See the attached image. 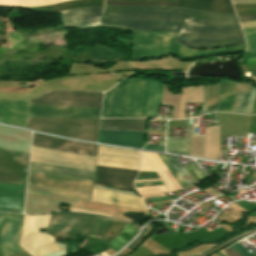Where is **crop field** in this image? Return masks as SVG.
<instances>
[{
  "label": "crop field",
  "mask_w": 256,
  "mask_h": 256,
  "mask_svg": "<svg viewBox=\"0 0 256 256\" xmlns=\"http://www.w3.org/2000/svg\"><path fill=\"white\" fill-rule=\"evenodd\" d=\"M103 93L51 91L30 100V105L101 107ZM30 106L29 116L43 118L100 119L101 108ZM29 100H0V122L26 126ZM29 117L26 128L96 142L99 120ZM147 119H100L99 129L146 131Z\"/></svg>",
  "instance_id": "obj_1"
},
{
  "label": "crop field",
  "mask_w": 256,
  "mask_h": 256,
  "mask_svg": "<svg viewBox=\"0 0 256 256\" xmlns=\"http://www.w3.org/2000/svg\"><path fill=\"white\" fill-rule=\"evenodd\" d=\"M101 25L126 30L179 31L177 42L199 49L246 43L235 15L191 9L105 6Z\"/></svg>",
  "instance_id": "obj_2"
},
{
  "label": "crop field",
  "mask_w": 256,
  "mask_h": 256,
  "mask_svg": "<svg viewBox=\"0 0 256 256\" xmlns=\"http://www.w3.org/2000/svg\"><path fill=\"white\" fill-rule=\"evenodd\" d=\"M32 146L96 156L97 145L34 133ZM32 147V152L95 162L96 157ZM32 153L31 161L94 171L95 163ZM31 162L32 173L93 181L94 172ZM29 173L28 183L91 193L93 182Z\"/></svg>",
  "instance_id": "obj_3"
},
{
  "label": "crop field",
  "mask_w": 256,
  "mask_h": 256,
  "mask_svg": "<svg viewBox=\"0 0 256 256\" xmlns=\"http://www.w3.org/2000/svg\"><path fill=\"white\" fill-rule=\"evenodd\" d=\"M31 132L0 126V147L29 153ZM0 148V183L25 184L29 154ZM25 185L0 184V211L21 212Z\"/></svg>",
  "instance_id": "obj_4"
},
{
  "label": "crop field",
  "mask_w": 256,
  "mask_h": 256,
  "mask_svg": "<svg viewBox=\"0 0 256 256\" xmlns=\"http://www.w3.org/2000/svg\"><path fill=\"white\" fill-rule=\"evenodd\" d=\"M140 153L135 150L99 146L97 165L138 170ZM97 166L94 185L134 189L138 171ZM92 201L145 209L143 199L94 189Z\"/></svg>",
  "instance_id": "obj_5"
},
{
  "label": "crop field",
  "mask_w": 256,
  "mask_h": 256,
  "mask_svg": "<svg viewBox=\"0 0 256 256\" xmlns=\"http://www.w3.org/2000/svg\"><path fill=\"white\" fill-rule=\"evenodd\" d=\"M178 32L134 31L133 59L161 57L173 53L183 59H199L225 53L245 52L246 45L231 46L214 51L191 50L175 43Z\"/></svg>",
  "instance_id": "obj_6"
},
{
  "label": "crop field",
  "mask_w": 256,
  "mask_h": 256,
  "mask_svg": "<svg viewBox=\"0 0 256 256\" xmlns=\"http://www.w3.org/2000/svg\"><path fill=\"white\" fill-rule=\"evenodd\" d=\"M236 82L221 80L219 84L204 86L203 114L217 111L232 113ZM256 87L247 83H237L233 113L251 114Z\"/></svg>",
  "instance_id": "obj_7"
},
{
  "label": "crop field",
  "mask_w": 256,
  "mask_h": 256,
  "mask_svg": "<svg viewBox=\"0 0 256 256\" xmlns=\"http://www.w3.org/2000/svg\"><path fill=\"white\" fill-rule=\"evenodd\" d=\"M127 80L105 94L103 118L122 117ZM148 79H128L123 117H143Z\"/></svg>",
  "instance_id": "obj_8"
},
{
  "label": "crop field",
  "mask_w": 256,
  "mask_h": 256,
  "mask_svg": "<svg viewBox=\"0 0 256 256\" xmlns=\"http://www.w3.org/2000/svg\"><path fill=\"white\" fill-rule=\"evenodd\" d=\"M94 219V216L83 214H55L52 216L50 227L45 233L55 238H75L76 234L87 236Z\"/></svg>",
  "instance_id": "obj_9"
},
{
  "label": "crop field",
  "mask_w": 256,
  "mask_h": 256,
  "mask_svg": "<svg viewBox=\"0 0 256 256\" xmlns=\"http://www.w3.org/2000/svg\"><path fill=\"white\" fill-rule=\"evenodd\" d=\"M51 216L52 215H24L20 246L25 251L55 242L54 238L43 232H39V229L48 227Z\"/></svg>",
  "instance_id": "obj_10"
},
{
  "label": "crop field",
  "mask_w": 256,
  "mask_h": 256,
  "mask_svg": "<svg viewBox=\"0 0 256 256\" xmlns=\"http://www.w3.org/2000/svg\"><path fill=\"white\" fill-rule=\"evenodd\" d=\"M180 98L181 94H171L165 84L149 79L144 117L157 118L158 103H165L173 105V119H178Z\"/></svg>",
  "instance_id": "obj_11"
},
{
  "label": "crop field",
  "mask_w": 256,
  "mask_h": 256,
  "mask_svg": "<svg viewBox=\"0 0 256 256\" xmlns=\"http://www.w3.org/2000/svg\"><path fill=\"white\" fill-rule=\"evenodd\" d=\"M22 216L20 214L0 213V228H3L0 240L2 256L23 252L18 246Z\"/></svg>",
  "instance_id": "obj_12"
},
{
  "label": "crop field",
  "mask_w": 256,
  "mask_h": 256,
  "mask_svg": "<svg viewBox=\"0 0 256 256\" xmlns=\"http://www.w3.org/2000/svg\"><path fill=\"white\" fill-rule=\"evenodd\" d=\"M146 132L100 130L99 142L142 148Z\"/></svg>",
  "instance_id": "obj_13"
},
{
  "label": "crop field",
  "mask_w": 256,
  "mask_h": 256,
  "mask_svg": "<svg viewBox=\"0 0 256 256\" xmlns=\"http://www.w3.org/2000/svg\"><path fill=\"white\" fill-rule=\"evenodd\" d=\"M103 7H84L60 12L64 26L84 27L100 19Z\"/></svg>",
  "instance_id": "obj_14"
},
{
  "label": "crop field",
  "mask_w": 256,
  "mask_h": 256,
  "mask_svg": "<svg viewBox=\"0 0 256 256\" xmlns=\"http://www.w3.org/2000/svg\"><path fill=\"white\" fill-rule=\"evenodd\" d=\"M136 1H149V0H136ZM169 1L177 2V0H169ZM177 7L191 8V9H197V10L213 12V13L235 14L232 6L227 4H214V3H207V2L193 1V0H178Z\"/></svg>",
  "instance_id": "obj_15"
},
{
  "label": "crop field",
  "mask_w": 256,
  "mask_h": 256,
  "mask_svg": "<svg viewBox=\"0 0 256 256\" xmlns=\"http://www.w3.org/2000/svg\"><path fill=\"white\" fill-rule=\"evenodd\" d=\"M219 127L206 128L205 157L219 158Z\"/></svg>",
  "instance_id": "obj_16"
},
{
  "label": "crop field",
  "mask_w": 256,
  "mask_h": 256,
  "mask_svg": "<svg viewBox=\"0 0 256 256\" xmlns=\"http://www.w3.org/2000/svg\"><path fill=\"white\" fill-rule=\"evenodd\" d=\"M80 6H103V0H80V1L61 3V4H57V5L31 7L28 9L36 10V11L50 12V11H56V10L61 11L64 9L75 8V7H80Z\"/></svg>",
  "instance_id": "obj_17"
},
{
  "label": "crop field",
  "mask_w": 256,
  "mask_h": 256,
  "mask_svg": "<svg viewBox=\"0 0 256 256\" xmlns=\"http://www.w3.org/2000/svg\"><path fill=\"white\" fill-rule=\"evenodd\" d=\"M188 137L185 139H167V152L189 155L190 149V119L185 120Z\"/></svg>",
  "instance_id": "obj_18"
},
{
  "label": "crop field",
  "mask_w": 256,
  "mask_h": 256,
  "mask_svg": "<svg viewBox=\"0 0 256 256\" xmlns=\"http://www.w3.org/2000/svg\"><path fill=\"white\" fill-rule=\"evenodd\" d=\"M135 227L127 223L124 229L107 245L114 251H119L138 232Z\"/></svg>",
  "instance_id": "obj_19"
},
{
  "label": "crop field",
  "mask_w": 256,
  "mask_h": 256,
  "mask_svg": "<svg viewBox=\"0 0 256 256\" xmlns=\"http://www.w3.org/2000/svg\"><path fill=\"white\" fill-rule=\"evenodd\" d=\"M184 102H203V87L183 88L179 119L184 118Z\"/></svg>",
  "instance_id": "obj_20"
},
{
  "label": "crop field",
  "mask_w": 256,
  "mask_h": 256,
  "mask_svg": "<svg viewBox=\"0 0 256 256\" xmlns=\"http://www.w3.org/2000/svg\"><path fill=\"white\" fill-rule=\"evenodd\" d=\"M105 5H116V6H171V7H176L177 3L168 2V1H149V2L105 1Z\"/></svg>",
  "instance_id": "obj_21"
},
{
  "label": "crop field",
  "mask_w": 256,
  "mask_h": 256,
  "mask_svg": "<svg viewBox=\"0 0 256 256\" xmlns=\"http://www.w3.org/2000/svg\"><path fill=\"white\" fill-rule=\"evenodd\" d=\"M111 221V219L97 217L88 236L100 238Z\"/></svg>",
  "instance_id": "obj_22"
},
{
  "label": "crop field",
  "mask_w": 256,
  "mask_h": 256,
  "mask_svg": "<svg viewBox=\"0 0 256 256\" xmlns=\"http://www.w3.org/2000/svg\"><path fill=\"white\" fill-rule=\"evenodd\" d=\"M243 30L248 42L247 53H256V27L245 28Z\"/></svg>",
  "instance_id": "obj_23"
},
{
  "label": "crop field",
  "mask_w": 256,
  "mask_h": 256,
  "mask_svg": "<svg viewBox=\"0 0 256 256\" xmlns=\"http://www.w3.org/2000/svg\"><path fill=\"white\" fill-rule=\"evenodd\" d=\"M167 157L170 159V161L173 163V165L176 167L178 172L180 173L181 177L184 179V181L187 183L188 186H191L194 183L190 175L187 173L183 165L179 162L177 157L174 156H168Z\"/></svg>",
  "instance_id": "obj_24"
},
{
  "label": "crop field",
  "mask_w": 256,
  "mask_h": 256,
  "mask_svg": "<svg viewBox=\"0 0 256 256\" xmlns=\"http://www.w3.org/2000/svg\"><path fill=\"white\" fill-rule=\"evenodd\" d=\"M57 250H60V249L57 246H55L53 243H51L27 252L32 256H40V255H44Z\"/></svg>",
  "instance_id": "obj_25"
},
{
  "label": "crop field",
  "mask_w": 256,
  "mask_h": 256,
  "mask_svg": "<svg viewBox=\"0 0 256 256\" xmlns=\"http://www.w3.org/2000/svg\"><path fill=\"white\" fill-rule=\"evenodd\" d=\"M161 158V160L165 163V165L170 169V171L172 172V174L174 175V177L178 180V182L180 183V185L182 186V188L188 187L186 185V183L183 181V179L180 177V175L178 174L177 170L175 169V167L172 165V163L169 161V159L166 157V155H161L158 154Z\"/></svg>",
  "instance_id": "obj_26"
},
{
  "label": "crop field",
  "mask_w": 256,
  "mask_h": 256,
  "mask_svg": "<svg viewBox=\"0 0 256 256\" xmlns=\"http://www.w3.org/2000/svg\"><path fill=\"white\" fill-rule=\"evenodd\" d=\"M238 14L256 13V4L234 5Z\"/></svg>",
  "instance_id": "obj_27"
},
{
  "label": "crop field",
  "mask_w": 256,
  "mask_h": 256,
  "mask_svg": "<svg viewBox=\"0 0 256 256\" xmlns=\"http://www.w3.org/2000/svg\"><path fill=\"white\" fill-rule=\"evenodd\" d=\"M240 65H256V54L245 55Z\"/></svg>",
  "instance_id": "obj_28"
},
{
  "label": "crop field",
  "mask_w": 256,
  "mask_h": 256,
  "mask_svg": "<svg viewBox=\"0 0 256 256\" xmlns=\"http://www.w3.org/2000/svg\"><path fill=\"white\" fill-rule=\"evenodd\" d=\"M192 171L196 174L199 180L206 178V175L201 171L196 163L190 164Z\"/></svg>",
  "instance_id": "obj_29"
},
{
  "label": "crop field",
  "mask_w": 256,
  "mask_h": 256,
  "mask_svg": "<svg viewBox=\"0 0 256 256\" xmlns=\"http://www.w3.org/2000/svg\"><path fill=\"white\" fill-rule=\"evenodd\" d=\"M231 247L239 252L242 256H252L248 251H246L242 246L238 245L237 243Z\"/></svg>",
  "instance_id": "obj_30"
},
{
  "label": "crop field",
  "mask_w": 256,
  "mask_h": 256,
  "mask_svg": "<svg viewBox=\"0 0 256 256\" xmlns=\"http://www.w3.org/2000/svg\"><path fill=\"white\" fill-rule=\"evenodd\" d=\"M233 4H250L256 3V0H232Z\"/></svg>",
  "instance_id": "obj_31"
},
{
  "label": "crop field",
  "mask_w": 256,
  "mask_h": 256,
  "mask_svg": "<svg viewBox=\"0 0 256 256\" xmlns=\"http://www.w3.org/2000/svg\"><path fill=\"white\" fill-rule=\"evenodd\" d=\"M240 21L256 20V15L238 16Z\"/></svg>",
  "instance_id": "obj_32"
},
{
  "label": "crop field",
  "mask_w": 256,
  "mask_h": 256,
  "mask_svg": "<svg viewBox=\"0 0 256 256\" xmlns=\"http://www.w3.org/2000/svg\"><path fill=\"white\" fill-rule=\"evenodd\" d=\"M224 252H226L227 254H229L230 256H241L239 253H237L234 249H232L231 247L228 248L227 250H225Z\"/></svg>",
  "instance_id": "obj_33"
},
{
  "label": "crop field",
  "mask_w": 256,
  "mask_h": 256,
  "mask_svg": "<svg viewBox=\"0 0 256 256\" xmlns=\"http://www.w3.org/2000/svg\"><path fill=\"white\" fill-rule=\"evenodd\" d=\"M143 198H151V197H159V196H164L163 193H158V194H146V195H142Z\"/></svg>",
  "instance_id": "obj_34"
},
{
  "label": "crop field",
  "mask_w": 256,
  "mask_h": 256,
  "mask_svg": "<svg viewBox=\"0 0 256 256\" xmlns=\"http://www.w3.org/2000/svg\"><path fill=\"white\" fill-rule=\"evenodd\" d=\"M241 24H242V27L245 28V27L255 26L256 21L244 22V23H241Z\"/></svg>",
  "instance_id": "obj_35"
},
{
  "label": "crop field",
  "mask_w": 256,
  "mask_h": 256,
  "mask_svg": "<svg viewBox=\"0 0 256 256\" xmlns=\"http://www.w3.org/2000/svg\"><path fill=\"white\" fill-rule=\"evenodd\" d=\"M69 210H74V211H84V212H92V213H97V214H102V213H98V212H94V211H90V210H84V209H79V208H73V207H70ZM103 215H106V214H103ZM110 216V215H109Z\"/></svg>",
  "instance_id": "obj_36"
},
{
  "label": "crop field",
  "mask_w": 256,
  "mask_h": 256,
  "mask_svg": "<svg viewBox=\"0 0 256 256\" xmlns=\"http://www.w3.org/2000/svg\"><path fill=\"white\" fill-rule=\"evenodd\" d=\"M201 1H208V2H217V3H230V0H201Z\"/></svg>",
  "instance_id": "obj_37"
},
{
  "label": "crop field",
  "mask_w": 256,
  "mask_h": 256,
  "mask_svg": "<svg viewBox=\"0 0 256 256\" xmlns=\"http://www.w3.org/2000/svg\"><path fill=\"white\" fill-rule=\"evenodd\" d=\"M145 148L153 149V150H159V151H163L164 150V148H162V147H156V146H150V145H147Z\"/></svg>",
  "instance_id": "obj_38"
},
{
  "label": "crop field",
  "mask_w": 256,
  "mask_h": 256,
  "mask_svg": "<svg viewBox=\"0 0 256 256\" xmlns=\"http://www.w3.org/2000/svg\"><path fill=\"white\" fill-rule=\"evenodd\" d=\"M146 229L147 228H145L144 231L141 233V235L137 239H135L127 248H130L134 243H136L140 239V237L142 236V234L145 232Z\"/></svg>",
  "instance_id": "obj_39"
},
{
  "label": "crop field",
  "mask_w": 256,
  "mask_h": 256,
  "mask_svg": "<svg viewBox=\"0 0 256 256\" xmlns=\"http://www.w3.org/2000/svg\"><path fill=\"white\" fill-rule=\"evenodd\" d=\"M36 81H44V79H41V80H36Z\"/></svg>",
  "instance_id": "obj_40"
},
{
  "label": "crop field",
  "mask_w": 256,
  "mask_h": 256,
  "mask_svg": "<svg viewBox=\"0 0 256 256\" xmlns=\"http://www.w3.org/2000/svg\"><path fill=\"white\" fill-rule=\"evenodd\" d=\"M252 71H254V70H252Z\"/></svg>",
  "instance_id": "obj_41"
},
{
  "label": "crop field",
  "mask_w": 256,
  "mask_h": 256,
  "mask_svg": "<svg viewBox=\"0 0 256 256\" xmlns=\"http://www.w3.org/2000/svg\"><path fill=\"white\" fill-rule=\"evenodd\" d=\"M0 231H1V229H0Z\"/></svg>",
  "instance_id": "obj_42"
}]
</instances>
